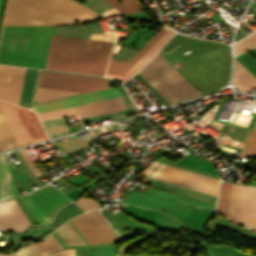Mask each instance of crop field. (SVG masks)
Wrapping results in <instances>:
<instances>
[{"instance_id": "3", "label": "crop field", "mask_w": 256, "mask_h": 256, "mask_svg": "<svg viewBox=\"0 0 256 256\" xmlns=\"http://www.w3.org/2000/svg\"><path fill=\"white\" fill-rule=\"evenodd\" d=\"M71 221L89 244L106 243L119 239L96 209L77 216ZM55 231L67 245H85L69 222Z\"/></svg>"}, {"instance_id": "34", "label": "crop field", "mask_w": 256, "mask_h": 256, "mask_svg": "<svg viewBox=\"0 0 256 256\" xmlns=\"http://www.w3.org/2000/svg\"><path fill=\"white\" fill-rule=\"evenodd\" d=\"M159 164V162H155L153 161L146 169H144L141 174L148 176L155 168L156 166Z\"/></svg>"}, {"instance_id": "38", "label": "crop field", "mask_w": 256, "mask_h": 256, "mask_svg": "<svg viewBox=\"0 0 256 256\" xmlns=\"http://www.w3.org/2000/svg\"><path fill=\"white\" fill-rule=\"evenodd\" d=\"M0 256H9V255L0 254Z\"/></svg>"}, {"instance_id": "7", "label": "crop field", "mask_w": 256, "mask_h": 256, "mask_svg": "<svg viewBox=\"0 0 256 256\" xmlns=\"http://www.w3.org/2000/svg\"><path fill=\"white\" fill-rule=\"evenodd\" d=\"M151 178L178 184L216 196L219 180L161 164Z\"/></svg>"}, {"instance_id": "26", "label": "crop field", "mask_w": 256, "mask_h": 256, "mask_svg": "<svg viewBox=\"0 0 256 256\" xmlns=\"http://www.w3.org/2000/svg\"><path fill=\"white\" fill-rule=\"evenodd\" d=\"M234 58L256 77V61L253 58H251L246 52Z\"/></svg>"}, {"instance_id": "19", "label": "crop field", "mask_w": 256, "mask_h": 256, "mask_svg": "<svg viewBox=\"0 0 256 256\" xmlns=\"http://www.w3.org/2000/svg\"><path fill=\"white\" fill-rule=\"evenodd\" d=\"M233 76L237 78L245 90H256V78L244 67L234 71Z\"/></svg>"}, {"instance_id": "32", "label": "crop field", "mask_w": 256, "mask_h": 256, "mask_svg": "<svg viewBox=\"0 0 256 256\" xmlns=\"http://www.w3.org/2000/svg\"><path fill=\"white\" fill-rule=\"evenodd\" d=\"M26 164L28 165L29 169L36 175H40V171L37 169V167L34 165V163L32 162L29 154L27 153L26 149L24 150H20Z\"/></svg>"}, {"instance_id": "1", "label": "crop field", "mask_w": 256, "mask_h": 256, "mask_svg": "<svg viewBox=\"0 0 256 256\" xmlns=\"http://www.w3.org/2000/svg\"><path fill=\"white\" fill-rule=\"evenodd\" d=\"M107 1L121 14L143 11L134 0ZM99 18L102 16L72 0H8L2 26H56ZM52 28L5 27L0 63L44 69ZM112 47L109 42L53 35L46 69L104 76Z\"/></svg>"}, {"instance_id": "35", "label": "crop field", "mask_w": 256, "mask_h": 256, "mask_svg": "<svg viewBox=\"0 0 256 256\" xmlns=\"http://www.w3.org/2000/svg\"><path fill=\"white\" fill-rule=\"evenodd\" d=\"M120 91H121V93H122V95H123V97H124V99H125V101H126L128 107H129L130 111H131V112H134L135 109H134V107H133V105H132V102L130 101V99H129V97H128L126 91H125V89L122 88V89H120Z\"/></svg>"}, {"instance_id": "31", "label": "crop field", "mask_w": 256, "mask_h": 256, "mask_svg": "<svg viewBox=\"0 0 256 256\" xmlns=\"http://www.w3.org/2000/svg\"><path fill=\"white\" fill-rule=\"evenodd\" d=\"M75 203L80 205L85 211H88L94 207H100L99 202L82 197Z\"/></svg>"}, {"instance_id": "30", "label": "crop field", "mask_w": 256, "mask_h": 256, "mask_svg": "<svg viewBox=\"0 0 256 256\" xmlns=\"http://www.w3.org/2000/svg\"><path fill=\"white\" fill-rule=\"evenodd\" d=\"M129 114L127 110L81 119L83 123Z\"/></svg>"}, {"instance_id": "20", "label": "crop field", "mask_w": 256, "mask_h": 256, "mask_svg": "<svg viewBox=\"0 0 256 256\" xmlns=\"http://www.w3.org/2000/svg\"><path fill=\"white\" fill-rule=\"evenodd\" d=\"M74 252H75V249H67V250H63L57 253L47 255L33 248L25 246L19 249L18 251H16L15 253H13V255H16V256H74Z\"/></svg>"}, {"instance_id": "12", "label": "crop field", "mask_w": 256, "mask_h": 256, "mask_svg": "<svg viewBox=\"0 0 256 256\" xmlns=\"http://www.w3.org/2000/svg\"><path fill=\"white\" fill-rule=\"evenodd\" d=\"M125 203L154 208L162 211L165 207L174 209V202L150 194L131 190Z\"/></svg>"}, {"instance_id": "27", "label": "crop field", "mask_w": 256, "mask_h": 256, "mask_svg": "<svg viewBox=\"0 0 256 256\" xmlns=\"http://www.w3.org/2000/svg\"><path fill=\"white\" fill-rule=\"evenodd\" d=\"M74 113H75V111H74L73 107H71V108H66V109H61V110H56V111L40 113L37 115H38L40 121H43V120H47V119H51V118H55V117H59V116L74 114Z\"/></svg>"}, {"instance_id": "8", "label": "crop field", "mask_w": 256, "mask_h": 256, "mask_svg": "<svg viewBox=\"0 0 256 256\" xmlns=\"http://www.w3.org/2000/svg\"><path fill=\"white\" fill-rule=\"evenodd\" d=\"M52 221L56 211L70 202L50 184L26 194Z\"/></svg>"}, {"instance_id": "41", "label": "crop field", "mask_w": 256, "mask_h": 256, "mask_svg": "<svg viewBox=\"0 0 256 256\" xmlns=\"http://www.w3.org/2000/svg\"><path fill=\"white\" fill-rule=\"evenodd\" d=\"M256 48V47H255Z\"/></svg>"}, {"instance_id": "17", "label": "crop field", "mask_w": 256, "mask_h": 256, "mask_svg": "<svg viewBox=\"0 0 256 256\" xmlns=\"http://www.w3.org/2000/svg\"><path fill=\"white\" fill-rule=\"evenodd\" d=\"M230 183L221 182L216 211L224 216L227 215L228 203L231 192Z\"/></svg>"}, {"instance_id": "39", "label": "crop field", "mask_w": 256, "mask_h": 256, "mask_svg": "<svg viewBox=\"0 0 256 256\" xmlns=\"http://www.w3.org/2000/svg\"><path fill=\"white\" fill-rule=\"evenodd\" d=\"M0 230H3L2 227H1V225H0Z\"/></svg>"}, {"instance_id": "13", "label": "crop field", "mask_w": 256, "mask_h": 256, "mask_svg": "<svg viewBox=\"0 0 256 256\" xmlns=\"http://www.w3.org/2000/svg\"><path fill=\"white\" fill-rule=\"evenodd\" d=\"M19 196L7 156L0 155V200Z\"/></svg>"}, {"instance_id": "28", "label": "crop field", "mask_w": 256, "mask_h": 256, "mask_svg": "<svg viewBox=\"0 0 256 256\" xmlns=\"http://www.w3.org/2000/svg\"><path fill=\"white\" fill-rule=\"evenodd\" d=\"M256 45V33L235 45V55Z\"/></svg>"}, {"instance_id": "29", "label": "crop field", "mask_w": 256, "mask_h": 256, "mask_svg": "<svg viewBox=\"0 0 256 256\" xmlns=\"http://www.w3.org/2000/svg\"><path fill=\"white\" fill-rule=\"evenodd\" d=\"M243 189H244V186L238 185L235 206H234V212H233V218H232V221L237 222V223L239 220Z\"/></svg>"}, {"instance_id": "21", "label": "crop field", "mask_w": 256, "mask_h": 256, "mask_svg": "<svg viewBox=\"0 0 256 256\" xmlns=\"http://www.w3.org/2000/svg\"><path fill=\"white\" fill-rule=\"evenodd\" d=\"M101 212H102V214L104 215V217L106 218V220L109 221V222L116 220V221L119 222L121 225H124V226H126V227H128V228H130V229H132V230H135V231H137V232H140V233H142V231H140V230H138V229H136V228H139V229H141V230H143V231L146 229V227H144V226H142V225H139V224H137V223H135V222L129 220L128 218H126L125 216H123V215L120 214V213L115 214V215H116L118 218H120L121 220H123L124 222H126L127 224H129V225H131V226H134V227H136V228H133V227L127 225L126 223H124L123 221H121L120 219H118L116 216H114V215L111 213V211H110L109 209H104V210H102Z\"/></svg>"}, {"instance_id": "5", "label": "crop field", "mask_w": 256, "mask_h": 256, "mask_svg": "<svg viewBox=\"0 0 256 256\" xmlns=\"http://www.w3.org/2000/svg\"><path fill=\"white\" fill-rule=\"evenodd\" d=\"M0 109L19 146L48 139L34 111L4 101Z\"/></svg>"}, {"instance_id": "23", "label": "crop field", "mask_w": 256, "mask_h": 256, "mask_svg": "<svg viewBox=\"0 0 256 256\" xmlns=\"http://www.w3.org/2000/svg\"><path fill=\"white\" fill-rule=\"evenodd\" d=\"M28 246L36 248V249L41 250V251H44L46 253L63 249V247L54 238V236L52 234L49 237H47L45 240H43V241H41L39 243L30 244Z\"/></svg>"}, {"instance_id": "2", "label": "crop field", "mask_w": 256, "mask_h": 256, "mask_svg": "<svg viewBox=\"0 0 256 256\" xmlns=\"http://www.w3.org/2000/svg\"><path fill=\"white\" fill-rule=\"evenodd\" d=\"M138 73L170 104L200 96L158 53Z\"/></svg>"}, {"instance_id": "16", "label": "crop field", "mask_w": 256, "mask_h": 256, "mask_svg": "<svg viewBox=\"0 0 256 256\" xmlns=\"http://www.w3.org/2000/svg\"><path fill=\"white\" fill-rule=\"evenodd\" d=\"M18 147V144L0 111V151Z\"/></svg>"}, {"instance_id": "33", "label": "crop field", "mask_w": 256, "mask_h": 256, "mask_svg": "<svg viewBox=\"0 0 256 256\" xmlns=\"http://www.w3.org/2000/svg\"><path fill=\"white\" fill-rule=\"evenodd\" d=\"M237 185L233 184L227 218L231 219Z\"/></svg>"}, {"instance_id": "10", "label": "crop field", "mask_w": 256, "mask_h": 256, "mask_svg": "<svg viewBox=\"0 0 256 256\" xmlns=\"http://www.w3.org/2000/svg\"><path fill=\"white\" fill-rule=\"evenodd\" d=\"M119 96H121V95L118 90L108 89V90L93 92V93H89V94H84V95L54 100V101H50V102L35 104L34 107H35L37 113H39V112H44V111H49V110H54V109H60V108H65V107L76 106V105L86 104V103H90V102L110 99V98L119 97Z\"/></svg>"}, {"instance_id": "37", "label": "crop field", "mask_w": 256, "mask_h": 256, "mask_svg": "<svg viewBox=\"0 0 256 256\" xmlns=\"http://www.w3.org/2000/svg\"><path fill=\"white\" fill-rule=\"evenodd\" d=\"M244 21H245V20H244ZM244 21H242V23H243L244 25H246L252 32L255 31V30H254L253 28H251L247 23H245L246 21H245V22H244Z\"/></svg>"}, {"instance_id": "36", "label": "crop field", "mask_w": 256, "mask_h": 256, "mask_svg": "<svg viewBox=\"0 0 256 256\" xmlns=\"http://www.w3.org/2000/svg\"><path fill=\"white\" fill-rule=\"evenodd\" d=\"M249 52H250L253 56L256 57V49H255V48L249 50Z\"/></svg>"}, {"instance_id": "14", "label": "crop field", "mask_w": 256, "mask_h": 256, "mask_svg": "<svg viewBox=\"0 0 256 256\" xmlns=\"http://www.w3.org/2000/svg\"><path fill=\"white\" fill-rule=\"evenodd\" d=\"M83 212L84 211H82L80 208H78L75 204H72L70 208L62 210L59 219L53 226L48 227V228H44V227L31 228L27 233L14 234L13 241L50 230V229L62 224L63 222L67 221L68 219H70L76 215H79Z\"/></svg>"}, {"instance_id": "6", "label": "crop field", "mask_w": 256, "mask_h": 256, "mask_svg": "<svg viewBox=\"0 0 256 256\" xmlns=\"http://www.w3.org/2000/svg\"><path fill=\"white\" fill-rule=\"evenodd\" d=\"M174 33L163 26L129 62L111 58L106 76L127 81Z\"/></svg>"}, {"instance_id": "9", "label": "crop field", "mask_w": 256, "mask_h": 256, "mask_svg": "<svg viewBox=\"0 0 256 256\" xmlns=\"http://www.w3.org/2000/svg\"><path fill=\"white\" fill-rule=\"evenodd\" d=\"M25 68L0 65V99L19 102Z\"/></svg>"}, {"instance_id": "18", "label": "crop field", "mask_w": 256, "mask_h": 256, "mask_svg": "<svg viewBox=\"0 0 256 256\" xmlns=\"http://www.w3.org/2000/svg\"><path fill=\"white\" fill-rule=\"evenodd\" d=\"M49 137H55L61 134L69 133L62 117L42 122Z\"/></svg>"}, {"instance_id": "11", "label": "crop field", "mask_w": 256, "mask_h": 256, "mask_svg": "<svg viewBox=\"0 0 256 256\" xmlns=\"http://www.w3.org/2000/svg\"><path fill=\"white\" fill-rule=\"evenodd\" d=\"M0 223L4 230H23L30 225L15 199L0 202Z\"/></svg>"}, {"instance_id": "25", "label": "crop field", "mask_w": 256, "mask_h": 256, "mask_svg": "<svg viewBox=\"0 0 256 256\" xmlns=\"http://www.w3.org/2000/svg\"><path fill=\"white\" fill-rule=\"evenodd\" d=\"M240 155L256 156V124Z\"/></svg>"}, {"instance_id": "40", "label": "crop field", "mask_w": 256, "mask_h": 256, "mask_svg": "<svg viewBox=\"0 0 256 256\" xmlns=\"http://www.w3.org/2000/svg\"><path fill=\"white\" fill-rule=\"evenodd\" d=\"M191 1H194V0H191Z\"/></svg>"}, {"instance_id": "15", "label": "crop field", "mask_w": 256, "mask_h": 256, "mask_svg": "<svg viewBox=\"0 0 256 256\" xmlns=\"http://www.w3.org/2000/svg\"><path fill=\"white\" fill-rule=\"evenodd\" d=\"M37 72L38 70L26 68L19 102L20 105L30 108Z\"/></svg>"}, {"instance_id": "4", "label": "crop field", "mask_w": 256, "mask_h": 256, "mask_svg": "<svg viewBox=\"0 0 256 256\" xmlns=\"http://www.w3.org/2000/svg\"><path fill=\"white\" fill-rule=\"evenodd\" d=\"M38 87L83 93L110 87L106 79H98L55 72H41ZM38 88L36 101L62 97L77 93Z\"/></svg>"}, {"instance_id": "24", "label": "crop field", "mask_w": 256, "mask_h": 256, "mask_svg": "<svg viewBox=\"0 0 256 256\" xmlns=\"http://www.w3.org/2000/svg\"><path fill=\"white\" fill-rule=\"evenodd\" d=\"M20 198L39 223L47 224L51 222L26 195L20 196Z\"/></svg>"}, {"instance_id": "22", "label": "crop field", "mask_w": 256, "mask_h": 256, "mask_svg": "<svg viewBox=\"0 0 256 256\" xmlns=\"http://www.w3.org/2000/svg\"><path fill=\"white\" fill-rule=\"evenodd\" d=\"M60 145L66 151V153L74 152L85 147L90 146V140L87 136L60 142Z\"/></svg>"}]
</instances>
